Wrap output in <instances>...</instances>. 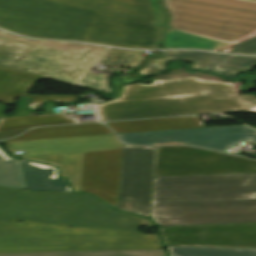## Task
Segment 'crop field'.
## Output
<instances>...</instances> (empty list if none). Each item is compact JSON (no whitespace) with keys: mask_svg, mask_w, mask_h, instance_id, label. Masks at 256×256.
<instances>
[{"mask_svg":"<svg viewBox=\"0 0 256 256\" xmlns=\"http://www.w3.org/2000/svg\"><path fill=\"white\" fill-rule=\"evenodd\" d=\"M164 28L92 12L83 41L138 49H159Z\"/></svg>","mask_w":256,"mask_h":256,"instance_id":"crop-field-12","label":"crop field"},{"mask_svg":"<svg viewBox=\"0 0 256 256\" xmlns=\"http://www.w3.org/2000/svg\"><path fill=\"white\" fill-rule=\"evenodd\" d=\"M169 256H256V249L166 246Z\"/></svg>","mask_w":256,"mask_h":256,"instance_id":"crop-field-23","label":"crop field"},{"mask_svg":"<svg viewBox=\"0 0 256 256\" xmlns=\"http://www.w3.org/2000/svg\"><path fill=\"white\" fill-rule=\"evenodd\" d=\"M256 65V57L229 56L200 52L195 62L190 66L201 70L215 72L224 78H234L241 72L251 70ZM256 83V77L250 83L242 86L241 90H250Z\"/></svg>","mask_w":256,"mask_h":256,"instance_id":"crop-field-16","label":"crop field"},{"mask_svg":"<svg viewBox=\"0 0 256 256\" xmlns=\"http://www.w3.org/2000/svg\"><path fill=\"white\" fill-rule=\"evenodd\" d=\"M250 74H246V75H243L241 76L239 79H236V80H233V81H240V82H243V81H246V80H249L247 78V76H249Z\"/></svg>","mask_w":256,"mask_h":256,"instance_id":"crop-field-35","label":"crop field"},{"mask_svg":"<svg viewBox=\"0 0 256 256\" xmlns=\"http://www.w3.org/2000/svg\"><path fill=\"white\" fill-rule=\"evenodd\" d=\"M254 172V160L187 147H156L153 176Z\"/></svg>","mask_w":256,"mask_h":256,"instance_id":"crop-field-9","label":"crop field"},{"mask_svg":"<svg viewBox=\"0 0 256 256\" xmlns=\"http://www.w3.org/2000/svg\"><path fill=\"white\" fill-rule=\"evenodd\" d=\"M229 53L256 54V36L236 44Z\"/></svg>","mask_w":256,"mask_h":256,"instance_id":"crop-field-28","label":"crop field"},{"mask_svg":"<svg viewBox=\"0 0 256 256\" xmlns=\"http://www.w3.org/2000/svg\"><path fill=\"white\" fill-rule=\"evenodd\" d=\"M123 142L135 145H156L180 142L225 152L241 141L256 144V132L244 125L118 134Z\"/></svg>","mask_w":256,"mask_h":256,"instance_id":"crop-field-10","label":"crop field"},{"mask_svg":"<svg viewBox=\"0 0 256 256\" xmlns=\"http://www.w3.org/2000/svg\"><path fill=\"white\" fill-rule=\"evenodd\" d=\"M92 10L165 26L156 0H0V27L35 38L82 41Z\"/></svg>","mask_w":256,"mask_h":256,"instance_id":"crop-field-3","label":"crop field"},{"mask_svg":"<svg viewBox=\"0 0 256 256\" xmlns=\"http://www.w3.org/2000/svg\"><path fill=\"white\" fill-rule=\"evenodd\" d=\"M182 63L176 62V63H172L169 66V69H178L181 68Z\"/></svg>","mask_w":256,"mask_h":256,"instance_id":"crop-field-33","label":"crop field"},{"mask_svg":"<svg viewBox=\"0 0 256 256\" xmlns=\"http://www.w3.org/2000/svg\"><path fill=\"white\" fill-rule=\"evenodd\" d=\"M28 128L26 129H20V130H14V131H7V132H1L0 133V139H4V138H9V137H13V136H16L18 134H20L21 132L27 130Z\"/></svg>","mask_w":256,"mask_h":256,"instance_id":"crop-field-30","label":"crop field"},{"mask_svg":"<svg viewBox=\"0 0 256 256\" xmlns=\"http://www.w3.org/2000/svg\"><path fill=\"white\" fill-rule=\"evenodd\" d=\"M241 111L256 112V97L249 94H236Z\"/></svg>","mask_w":256,"mask_h":256,"instance_id":"crop-field-29","label":"crop field"},{"mask_svg":"<svg viewBox=\"0 0 256 256\" xmlns=\"http://www.w3.org/2000/svg\"><path fill=\"white\" fill-rule=\"evenodd\" d=\"M143 51L122 50L110 48L100 60V63L135 67L144 57Z\"/></svg>","mask_w":256,"mask_h":256,"instance_id":"crop-field-26","label":"crop field"},{"mask_svg":"<svg viewBox=\"0 0 256 256\" xmlns=\"http://www.w3.org/2000/svg\"><path fill=\"white\" fill-rule=\"evenodd\" d=\"M159 2H161V1H160V0H157V3H159ZM159 8H160V11H161L162 16H163V18H164V21H165V23H166V19H167L166 12H165L164 8H162V7H160V6H159Z\"/></svg>","mask_w":256,"mask_h":256,"instance_id":"crop-field-34","label":"crop field"},{"mask_svg":"<svg viewBox=\"0 0 256 256\" xmlns=\"http://www.w3.org/2000/svg\"><path fill=\"white\" fill-rule=\"evenodd\" d=\"M159 228L165 245L256 248V224Z\"/></svg>","mask_w":256,"mask_h":256,"instance_id":"crop-field-13","label":"crop field"},{"mask_svg":"<svg viewBox=\"0 0 256 256\" xmlns=\"http://www.w3.org/2000/svg\"><path fill=\"white\" fill-rule=\"evenodd\" d=\"M231 44L235 45L234 43H231ZM231 44H229V45H227V46H225V47H223V48H221V49H219V50H217V51H220V52H229L230 48H228V47H229Z\"/></svg>","mask_w":256,"mask_h":256,"instance_id":"crop-field-36","label":"crop field"},{"mask_svg":"<svg viewBox=\"0 0 256 256\" xmlns=\"http://www.w3.org/2000/svg\"><path fill=\"white\" fill-rule=\"evenodd\" d=\"M154 151L124 145L118 209L148 217Z\"/></svg>","mask_w":256,"mask_h":256,"instance_id":"crop-field-11","label":"crop field"},{"mask_svg":"<svg viewBox=\"0 0 256 256\" xmlns=\"http://www.w3.org/2000/svg\"><path fill=\"white\" fill-rule=\"evenodd\" d=\"M0 256H165L163 249L2 253Z\"/></svg>","mask_w":256,"mask_h":256,"instance_id":"crop-field-22","label":"crop field"},{"mask_svg":"<svg viewBox=\"0 0 256 256\" xmlns=\"http://www.w3.org/2000/svg\"><path fill=\"white\" fill-rule=\"evenodd\" d=\"M115 133L204 127L198 116L106 123Z\"/></svg>","mask_w":256,"mask_h":256,"instance_id":"crop-field-18","label":"crop field"},{"mask_svg":"<svg viewBox=\"0 0 256 256\" xmlns=\"http://www.w3.org/2000/svg\"><path fill=\"white\" fill-rule=\"evenodd\" d=\"M40 77L0 67V101L13 104L16 97L25 96ZM32 99L29 107L38 110L45 100L56 102L75 101V96H26Z\"/></svg>","mask_w":256,"mask_h":256,"instance_id":"crop-field-15","label":"crop field"},{"mask_svg":"<svg viewBox=\"0 0 256 256\" xmlns=\"http://www.w3.org/2000/svg\"><path fill=\"white\" fill-rule=\"evenodd\" d=\"M149 58L148 57H145L134 69L138 68L139 66H141L146 60H148ZM133 69V70H134ZM132 70V71H133ZM137 76L136 73H132V75L130 77H123L122 80L123 82H129V81H132L135 79V77Z\"/></svg>","mask_w":256,"mask_h":256,"instance_id":"crop-field-31","label":"crop field"},{"mask_svg":"<svg viewBox=\"0 0 256 256\" xmlns=\"http://www.w3.org/2000/svg\"><path fill=\"white\" fill-rule=\"evenodd\" d=\"M169 27L232 41L256 28V0H164Z\"/></svg>","mask_w":256,"mask_h":256,"instance_id":"crop-field-7","label":"crop field"},{"mask_svg":"<svg viewBox=\"0 0 256 256\" xmlns=\"http://www.w3.org/2000/svg\"><path fill=\"white\" fill-rule=\"evenodd\" d=\"M170 144H179V143H170ZM161 145H164V144H161Z\"/></svg>","mask_w":256,"mask_h":256,"instance_id":"crop-field-37","label":"crop field"},{"mask_svg":"<svg viewBox=\"0 0 256 256\" xmlns=\"http://www.w3.org/2000/svg\"><path fill=\"white\" fill-rule=\"evenodd\" d=\"M93 78H94V75L86 72V74L84 75L79 85L89 87L98 91H102L108 94L110 93V88H109L106 77H101L99 81Z\"/></svg>","mask_w":256,"mask_h":256,"instance_id":"crop-field-27","label":"crop field"},{"mask_svg":"<svg viewBox=\"0 0 256 256\" xmlns=\"http://www.w3.org/2000/svg\"><path fill=\"white\" fill-rule=\"evenodd\" d=\"M20 162L28 190L70 192L66 181L57 179L54 167L22 160Z\"/></svg>","mask_w":256,"mask_h":256,"instance_id":"crop-field-19","label":"crop field"},{"mask_svg":"<svg viewBox=\"0 0 256 256\" xmlns=\"http://www.w3.org/2000/svg\"><path fill=\"white\" fill-rule=\"evenodd\" d=\"M98 134H113V133L109 131L106 127H103L102 124L91 123V124L35 128L26 132L20 137L18 136L19 138L5 140V141L98 135Z\"/></svg>","mask_w":256,"mask_h":256,"instance_id":"crop-field-20","label":"crop field"},{"mask_svg":"<svg viewBox=\"0 0 256 256\" xmlns=\"http://www.w3.org/2000/svg\"><path fill=\"white\" fill-rule=\"evenodd\" d=\"M255 35H256V29L253 30L252 32H250V33H248V34H246V35H244V36H242V37H240V38H238V39L232 41V42L238 43V42H241V41H243V40H245V39H248V38H250V37H253V36H255Z\"/></svg>","mask_w":256,"mask_h":256,"instance_id":"crop-field-32","label":"crop field"},{"mask_svg":"<svg viewBox=\"0 0 256 256\" xmlns=\"http://www.w3.org/2000/svg\"><path fill=\"white\" fill-rule=\"evenodd\" d=\"M122 149L84 153L80 192L117 209Z\"/></svg>","mask_w":256,"mask_h":256,"instance_id":"crop-field-14","label":"crop field"},{"mask_svg":"<svg viewBox=\"0 0 256 256\" xmlns=\"http://www.w3.org/2000/svg\"><path fill=\"white\" fill-rule=\"evenodd\" d=\"M0 186L26 188L19 160L7 157L1 150Z\"/></svg>","mask_w":256,"mask_h":256,"instance_id":"crop-field-24","label":"crop field"},{"mask_svg":"<svg viewBox=\"0 0 256 256\" xmlns=\"http://www.w3.org/2000/svg\"><path fill=\"white\" fill-rule=\"evenodd\" d=\"M26 102L27 100L19 101V111L15 116L11 117H7L1 114V110L4 108L3 105L0 104V132L32 126L74 123V120L66 119L62 114H54L53 107L57 106L51 103H47L45 105L44 113L41 116H33L25 108Z\"/></svg>","mask_w":256,"mask_h":256,"instance_id":"crop-field-17","label":"crop field"},{"mask_svg":"<svg viewBox=\"0 0 256 256\" xmlns=\"http://www.w3.org/2000/svg\"><path fill=\"white\" fill-rule=\"evenodd\" d=\"M163 248L157 235L64 228L40 223H0V253Z\"/></svg>","mask_w":256,"mask_h":256,"instance_id":"crop-field-5","label":"crop field"},{"mask_svg":"<svg viewBox=\"0 0 256 256\" xmlns=\"http://www.w3.org/2000/svg\"><path fill=\"white\" fill-rule=\"evenodd\" d=\"M112 100L96 105L100 121L141 119L240 110L231 83L196 77L161 79L142 85H124Z\"/></svg>","mask_w":256,"mask_h":256,"instance_id":"crop-field-2","label":"crop field"},{"mask_svg":"<svg viewBox=\"0 0 256 256\" xmlns=\"http://www.w3.org/2000/svg\"><path fill=\"white\" fill-rule=\"evenodd\" d=\"M230 42L167 28L163 49L192 48L215 51Z\"/></svg>","mask_w":256,"mask_h":256,"instance_id":"crop-field-21","label":"crop field"},{"mask_svg":"<svg viewBox=\"0 0 256 256\" xmlns=\"http://www.w3.org/2000/svg\"><path fill=\"white\" fill-rule=\"evenodd\" d=\"M108 47L24 39L0 30V66L78 85Z\"/></svg>","mask_w":256,"mask_h":256,"instance_id":"crop-field-6","label":"crop field"},{"mask_svg":"<svg viewBox=\"0 0 256 256\" xmlns=\"http://www.w3.org/2000/svg\"><path fill=\"white\" fill-rule=\"evenodd\" d=\"M158 226L256 223V173L154 177Z\"/></svg>","mask_w":256,"mask_h":256,"instance_id":"crop-field-1","label":"crop field"},{"mask_svg":"<svg viewBox=\"0 0 256 256\" xmlns=\"http://www.w3.org/2000/svg\"><path fill=\"white\" fill-rule=\"evenodd\" d=\"M162 54H163V58L161 59L154 58L149 63H147L144 67L138 70L140 75L164 72V64L168 59H181V60L194 62L199 52L198 51H166V52H162Z\"/></svg>","mask_w":256,"mask_h":256,"instance_id":"crop-field-25","label":"crop field"},{"mask_svg":"<svg viewBox=\"0 0 256 256\" xmlns=\"http://www.w3.org/2000/svg\"><path fill=\"white\" fill-rule=\"evenodd\" d=\"M11 151L23 150L29 160L59 166L60 176L68 178L79 192L83 152L121 148L115 135H98L5 142Z\"/></svg>","mask_w":256,"mask_h":256,"instance_id":"crop-field-8","label":"crop field"},{"mask_svg":"<svg viewBox=\"0 0 256 256\" xmlns=\"http://www.w3.org/2000/svg\"><path fill=\"white\" fill-rule=\"evenodd\" d=\"M8 220L130 231L153 226L149 219L117 212L89 195L0 187V221Z\"/></svg>","mask_w":256,"mask_h":256,"instance_id":"crop-field-4","label":"crop field"}]
</instances>
